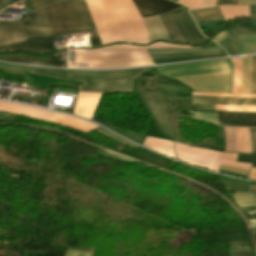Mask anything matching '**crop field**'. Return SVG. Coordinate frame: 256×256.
<instances>
[{"mask_svg": "<svg viewBox=\"0 0 256 256\" xmlns=\"http://www.w3.org/2000/svg\"><path fill=\"white\" fill-rule=\"evenodd\" d=\"M235 158H236V155L219 152L216 160L235 162ZM219 161L214 162V164L211 168L212 171L217 172L219 165L241 168V169H247V170H249V168H250V165H247V164L228 163V162H219Z\"/></svg>", "mask_w": 256, "mask_h": 256, "instance_id": "d9b57169", "label": "crop field"}, {"mask_svg": "<svg viewBox=\"0 0 256 256\" xmlns=\"http://www.w3.org/2000/svg\"><path fill=\"white\" fill-rule=\"evenodd\" d=\"M250 21L256 23V6H249Z\"/></svg>", "mask_w": 256, "mask_h": 256, "instance_id": "d32e631a", "label": "crop field"}, {"mask_svg": "<svg viewBox=\"0 0 256 256\" xmlns=\"http://www.w3.org/2000/svg\"><path fill=\"white\" fill-rule=\"evenodd\" d=\"M227 152L251 153L249 128L224 127Z\"/></svg>", "mask_w": 256, "mask_h": 256, "instance_id": "5a996713", "label": "crop field"}, {"mask_svg": "<svg viewBox=\"0 0 256 256\" xmlns=\"http://www.w3.org/2000/svg\"><path fill=\"white\" fill-rule=\"evenodd\" d=\"M248 191H256V187L255 186H249Z\"/></svg>", "mask_w": 256, "mask_h": 256, "instance_id": "c21b1889", "label": "crop field"}, {"mask_svg": "<svg viewBox=\"0 0 256 256\" xmlns=\"http://www.w3.org/2000/svg\"><path fill=\"white\" fill-rule=\"evenodd\" d=\"M61 53L62 51L46 56L42 59H38L30 56H6V57H0V60L28 63V64H34V65H42V66L66 67L67 61L61 60Z\"/></svg>", "mask_w": 256, "mask_h": 256, "instance_id": "28ad6ade", "label": "crop field"}, {"mask_svg": "<svg viewBox=\"0 0 256 256\" xmlns=\"http://www.w3.org/2000/svg\"><path fill=\"white\" fill-rule=\"evenodd\" d=\"M231 60L234 63L233 92L240 93L242 57Z\"/></svg>", "mask_w": 256, "mask_h": 256, "instance_id": "214f88e0", "label": "crop field"}, {"mask_svg": "<svg viewBox=\"0 0 256 256\" xmlns=\"http://www.w3.org/2000/svg\"><path fill=\"white\" fill-rule=\"evenodd\" d=\"M132 2L141 17L158 15L181 7L166 0H132Z\"/></svg>", "mask_w": 256, "mask_h": 256, "instance_id": "3316defc", "label": "crop field"}, {"mask_svg": "<svg viewBox=\"0 0 256 256\" xmlns=\"http://www.w3.org/2000/svg\"><path fill=\"white\" fill-rule=\"evenodd\" d=\"M251 57H243L241 93H249Z\"/></svg>", "mask_w": 256, "mask_h": 256, "instance_id": "bc2a9ffb", "label": "crop field"}, {"mask_svg": "<svg viewBox=\"0 0 256 256\" xmlns=\"http://www.w3.org/2000/svg\"><path fill=\"white\" fill-rule=\"evenodd\" d=\"M19 0H0V10Z\"/></svg>", "mask_w": 256, "mask_h": 256, "instance_id": "028f5c9d", "label": "crop field"}, {"mask_svg": "<svg viewBox=\"0 0 256 256\" xmlns=\"http://www.w3.org/2000/svg\"><path fill=\"white\" fill-rule=\"evenodd\" d=\"M237 2H238V0H217L216 6H218V5H233V4H237Z\"/></svg>", "mask_w": 256, "mask_h": 256, "instance_id": "5866460e", "label": "crop field"}, {"mask_svg": "<svg viewBox=\"0 0 256 256\" xmlns=\"http://www.w3.org/2000/svg\"><path fill=\"white\" fill-rule=\"evenodd\" d=\"M252 213H256V211H253V212H249L248 214H252Z\"/></svg>", "mask_w": 256, "mask_h": 256, "instance_id": "b54c1fbb", "label": "crop field"}, {"mask_svg": "<svg viewBox=\"0 0 256 256\" xmlns=\"http://www.w3.org/2000/svg\"><path fill=\"white\" fill-rule=\"evenodd\" d=\"M1 67H7V66H1ZM20 67H24V66H20ZM7 68H13V67H7ZM26 68H30V67H26ZM13 69H19V68H13ZM32 69L65 73L69 75L64 76V75L37 72V71H31V70H26V71H30V73H33V74L71 79L75 81H85V86L80 85L79 92L129 93L131 92L133 79L149 68L138 69V70L110 71V72H74V71H60V70H51V69H39V68H32ZM20 70H25V69H20Z\"/></svg>", "mask_w": 256, "mask_h": 256, "instance_id": "34b2d1b8", "label": "crop field"}, {"mask_svg": "<svg viewBox=\"0 0 256 256\" xmlns=\"http://www.w3.org/2000/svg\"><path fill=\"white\" fill-rule=\"evenodd\" d=\"M171 42L184 43L168 14L159 16Z\"/></svg>", "mask_w": 256, "mask_h": 256, "instance_id": "4a817a6b", "label": "crop field"}, {"mask_svg": "<svg viewBox=\"0 0 256 256\" xmlns=\"http://www.w3.org/2000/svg\"><path fill=\"white\" fill-rule=\"evenodd\" d=\"M59 1H62V0H25L29 11L55 3V2H59Z\"/></svg>", "mask_w": 256, "mask_h": 256, "instance_id": "a9b5d70f", "label": "crop field"}, {"mask_svg": "<svg viewBox=\"0 0 256 256\" xmlns=\"http://www.w3.org/2000/svg\"><path fill=\"white\" fill-rule=\"evenodd\" d=\"M148 50L150 54H160V53L214 51V50H221V49L217 46L215 48H207V49H148Z\"/></svg>", "mask_w": 256, "mask_h": 256, "instance_id": "dafd665d", "label": "crop field"}, {"mask_svg": "<svg viewBox=\"0 0 256 256\" xmlns=\"http://www.w3.org/2000/svg\"><path fill=\"white\" fill-rule=\"evenodd\" d=\"M160 75L170 78L232 71L229 59L156 67Z\"/></svg>", "mask_w": 256, "mask_h": 256, "instance_id": "412701ff", "label": "crop field"}, {"mask_svg": "<svg viewBox=\"0 0 256 256\" xmlns=\"http://www.w3.org/2000/svg\"><path fill=\"white\" fill-rule=\"evenodd\" d=\"M176 79L194 91L231 92L232 72Z\"/></svg>", "mask_w": 256, "mask_h": 256, "instance_id": "f4fd0767", "label": "crop field"}, {"mask_svg": "<svg viewBox=\"0 0 256 256\" xmlns=\"http://www.w3.org/2000/svg\"><path fill=\"white\" fill-rule=\"evenodd\" d=\"M147 48L192 47L158 42L148 46L117 44L93 50L76 49L75 60H69V63L89 64V66H69V68L110 69L154 64ZM70 52H75V49H71Z\"/></svg>", "mask_w": 256, "mask_h": 256, "instance_id": "ac0d7876", "label": "crop field"}, {"mask_svg": "<svg viewBox=\"0 0 256 256\" xmlns=\"http://www.w3.org/2000/svg\"><path fill=\"white\" fill-rule=\"evenodd\" d=\"M193 95H205V96H231V97H256V95H247V94H211V93H193Z\"/></svg>", "mask_w": 256, "mask_h": 256, "instance_id": "750c4746", "label": "crop field"}, {"mask_svg": "<svg viewBox=\"0 0 256 256\" xmlns=\"http://www.w3.org/2000/svg\"><path fill=\"white\" fill-rule=\"evenodd\" d=\"M169 16L186 43L195 46L208 43V39L201 35L186 9L182 8L171 12Z\"/></svg>", "mask_w": 256, "mask_h": 256, "instance_id": "e52e79f7", "label": "crop field"}, {"mask_svg": "<svg viewBox=\"0 0 256 256\" xmlns=\"http://www.w3.org/2000/svg\"><path fill=\"white\" fill-rule=\"evenodd\" d=\"M221 170H226V171H231V172H235V173H240V174H245L247 175L249 171L246 170H240V169H234V168H228V167H222L220 166Z\"/></svg>", "mask_w": 256, "mask_h": 256, "instance_id": "120bbe31", "label": "crop field"}, {"mask_svg": "<svg viewBox=\"0 0 256 256\" xmlns=\"http://www.w3.org/2000/svg\"><path fill=\"white\" fill-rule=\"evenodd\" d=\"M239 54L256 53V36H237Z\"/></svg>", "mask_w": 256, "mask_h": 256, "instance_id": "733c2abd", "label": "crop field"}, {"mask_svg": "<svg viewBox=\"0 0 256 256\" xmlns=\"http://www.w3.org/2000/svg\"><path fill=\"white\" fill-rule=\"evenodd\" d=\"M192 103L256 106V98L193 96Z\"/></svg>", "mask_w": 256, "mask_h": 256, "instance_id": "22f410ed", "label": "crop field"}, {"mask_svg": "<svg viewBox=\"0 0 256 256\" xmlns=\"http://www.w3.org/2000/svg\"><path fill=\"white\" fill-rule=\"evenodd\" d=\"M252 153H256V128H250Z\"/></svg>", "mask_w": 256, "mask_h": 256, "instance_id": "bd1437ed", "label": "crop field"}, {"mask_svg": "<svg viewBox=\"0 0 256 256\" xmlns=\"http://www.w3.org/2000/svg\"><path fill=\"white\" fill-rule=\"evenodd\" d=\"M249 195H254V192H250V193H234V194H232L233 197L249 196Z\"/></svg>", "mask_w": 256, "mask_h": 256, "instance_id": "b80d0937", "label": "crop field"}, {"mask_svg": "<svg viewBox=\"0 0 256 256\" xmlns=\"http://www.w3.org/2000/svg\"><path fill=\"white\" fill-rule=\"evenodd\" d=\"M249 178L256 180V168H252L251 169V173H250V177Z\"/></svg>", "mask_w": 256, "mask_h": 256, "instance_id": "c035e120", "label": "crop field"}, {"mask_svg": "<svg viewBox=\"0 0 256 256\" xmlns=\"http://www.w3.org/2000/svg\"><path fill=\"white\" fill-rule=\"evenodd\" d=\"M252 226H256V222H250Z\"/></svg>", "mask_w": 256, "mask_h": 256, "instance_id": "03da06ac", "label": "crop field"}, {"mask_svg": "<svg viewBox=\"0 0 256 256\" xmlns=\"http://www.w3.org/2000/svg\"><path fill=\"white\" fill-rule=\"evenodd\" d=\"M240 207L256 205V196L233 198Z\"/></svg>", "mask_w": 256, "mask_h": 256, "instance_id": "730fd06b", "label": "crop field"}, {"mask_svg": "<svg viewBox=\"0 0 256 256\" xmlns=\"http://www.w3.org/2000/svg\"><path fill=\"white\" fill-rule=\"evenodd\" d=\"M220 9L225 23L236 18H249L248 6H224Z\"/></svg>", "mask_w": 256, "mask_h": 256, "instance_id": "5142ce71", "label": "crop field"}, {"mask_svg": "<svg viewBox=\"0 0 256 256\" xmlns=\"http://www.w3.org/2000/svg\"><path fill=\"white\" fill-rule=\"evenodd\" d=\"M94 252L67 251L65 256H93Z\"/></svg>", "mask_w": 256, "mask_h": 256, "instance_id": "1d83c4d3", "label": "crop field"}, {"mask_svg": "<svg viewBox=\"0 0 256 256\" xmlns=\"http://www.w3.org/2000/svg\"><path fill=\"white\" fill-rule=\"evenodd\" d=\"M250 93H256V57H252Z\"/></svg>", "mask_w": 256, "mask_h": 256, "instance_id": "eef30255", "label": "crop field"}, {"mask_svg": "<svg viewBox=\"0 0 256 256\" xmlns=\"http://www.w3.org/2000/svg\"><path fill=\"white\" fill-rule=\"evenodd\" d=\"M101 44H148L131 0H85ZM84 0H66L23 15V22L0 23V53H50L57 35L89 32L92 47L101 46Z\"/></svg>", "mask_w": 256, "mask_h": 256, "instance_id": "8a807250", "label": "crop field"}, {"mask_svg": "<svg viewBox=\"0 0 256 256\" xmlns=\"http://www.w3.org/2000/svg\"><path fill=\"white\" fill-rule=\"evenodd\" d=\"M236 161L252 163V167H256V155H237Z\"/></svg>", "mask_w": 256, "mask_h": 256, "instance_id": "ae1a2a85", "label": "crop field"}, {"mask_svg": "<svg viewBox=\"0 0 256 256\" xmlns=\"http://www.w3.org/2000/svg\"><path fill=\"white\" fill-rule=\"evenodd\" d=\"M192 14L197 19V21L222 16L221 13H220L219 7L211 8V9H205V10H199V11H193Z\"/></svg>", "mask_w": 256, "mask_h": 256, "instance_id": "92a150f3", "label": "crop field"}, {"mask_svg": "<svg viewBox=\"0 0 256 256\" xmlns=\"http://www.w3.org/2000/svg\"><path fill=\"white\" fill-rule=\"evenodd\" d=\"M237 35H256V30L249 29L242 25L236 26Z\"/></svg>", "mask_w": 256, "mask_h": 256, "instance_id": "d3111659", "label": "crop field"}, {"mask_svg": "<svg viewBox=\"0 0 256 256\" xmlns=\"http://www.w3.org/2000/svg\"><path fill=\"white\" fill-rule=\"evenodd\" d=\"M223 52H210V53H186V54H162V55H151L153 59L159 58H172V57H185V56H198V55H210L220 54Z\"/></svg>", "mask_w": 256, "mask_h": 256, "instance_id": "4177f3b9", "label": "crop field"}, {"mask_svg": "<svg viewBox=\"0 0 256 256\" xmlns=\"http://www.w3.org/2000/svg\"><path fill=\"white\" fill-rule=\"evenodd\" d=\"M177 158L183 162L210 169L218 152L188 147L175 142Z\"/></svg>", "mask_w": 256, "mask_h": 256, "instance_id": "d8731c3e", "label": "crop field"}, {"mask_svg": "<svg viewBox=\"0 0 256 256\" xmlns=\"http://www.w3.org/2000/svg\"><path fill=\"white\" fill-rule=\"evenodd\" d=\"M227 36H228L227 31H226V32H223V33L219 34L217 37H215V38L213 39V41H215V42L218 43V42L222 41L223 39H225Z\"/></svg>", "mask_w": 256, "mask_h": 256, "instance_id": "e1f06a70", "label": "crop field"}, {"mask_svg": "<svg viewBox=\"0 0 256 256\" xmlns=\"http://www.w3.org/2000/svg\"><path fill=\"white\" fill-rule=\"evenodd\" d=\"M192 118L219 125V112L190 111ZM220 125L256 127V113L220 112Z\"/></svg>", "mask_w": 256, "mask_h": 256, "instance_id": "dd49c442", "label": "crop field"}, {"mask_svg": "<svg viewBox=\"0 0 256 256\" xmlns=\"http://www.w3.org/2000/svg\"><path fill=\"white\" fill-rule=\"evenodd\" d=\"M142 20L150 43L157 40L169 41L168 36L158 16L145 18Z\"/></svg>", "mask_w": 256, "mask_h": 256, "instance_id": "cbeb9de0", "label": "crop field"}, {"mask_svg": "<svg viewBox=\"0 0 256 256\" xmlns=\"http://www.w3.org/2000/svg\"><path fill=\"white\" fill-rule=\"evenodd\" d=\"M238 4H256V0H239Z\"/></svg>", "mask_w": 256, "mask_h": 256, "instance_id": "0bd39190", "label": "crop field"}, {"mask_svg": "<svg viewBox=\"0 0 256 256\" xmlns=\"http://www.w3.org/2000/svg\"><path fill=\"white\" fill-rule=\"evenodd\" d=\"M101 93H79L74 114L91 119Z\"/></svg>", "mask_w": 256, "mask_h": 256, "instance_id": "d1516ede", "label": "crop field"}, {"mask_svg": "<svg viewBox=\"0 0 256 256\" xmlns=\"http://www.w3.org/2000/svg\"><path fill=\"white\" fill-rule=\"evenodd\" d=\"M215 111L256 112V107L216 105Z\"/></svg>", "mask_w": 256, "mask_h": 256, "instance_id": "00972430", "label": "crop field"}]
</instances>
